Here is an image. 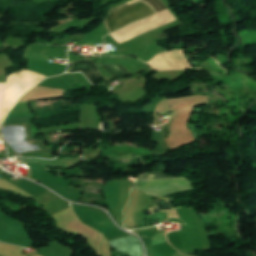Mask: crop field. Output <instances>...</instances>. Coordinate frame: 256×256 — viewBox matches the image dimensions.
<instances>
[{
	"instance_id": "8a807250",
	"label": "crop field",
	"mask_w": 256,
	"mask_h": 256,
	"mask_svg": "<svg viewBox=\"0 0 256 256\" xmlns=\"http://www.w3.org/2000/svg\"><path fill=\"white\" fill-rule=\"evenodd\" d=\"M46 77L28 71L26 69L8 75L3 106L0 117V124L13 104L30 88L38 84Z\"/></svg>"
},
{
	"instance_id": "ac0d7876",
	"label": "crop field",
	"mask_w": 256,
	"mask_h": 256,
	"mask_svg": "<svg viewBox=\"0 0 256 256\" xmlns=\"http://www.w3.org/2000/svg\"><path fill=\"white\" fill-rule=\"evenodd\" d=\"M154 14L152 7L140 0H133L129 3L109 10L105 18V24L109 33L129 24Z\"/></svg>"
},
{
	"instance_id": "34b2d1b8",
	"label": "crop field",
	"mask_w": 256,
	"mask_h": 256,
	"mask_svg": "<svg viewBox=\"0 0 256 256\" xmlns=\"http://www.w3.org/2000/svg\"><path fill=\"white\" fill-rule=\"evenodd\" d=\"M160 177H168V176L162 173H152L151 179L160 178ZM148 183H149V187H142V186H148ZM148 183L147 181L136 180L134 187H142L139 189L151 195H159V196L169 195V194L193 189L188 179L183 176L148 180Z\"/></svg>"
},
{
	"instance_id": "412701ff",
	"label": "crop field",
	"mask_w": 256,
	"mask_h": 256,
	"mask_svg": "<svg viewBox=\"0 0 256 256\" xmlns=\"http://www.w3.org/2000/svg\"><path fill=\"white\" fill-rule=\"evenodd\" d=\"M115 251L126 256H143V249L139 239L133 235L110 240Z\"/></svg>"
},
{
	"instance_id": "f4fd0767",
	"label": "crop field",
	"mask_w": 256,
	"mask_h": 256,
	"mask_svg": "<svg viewBox=\"0 0 256 256\" xmlns=\"http://www.w3.org/2000/svg\"><path fill=\"white\" fill-rule=\"evenodd\" d=\"M85 71L84 75L88 80L94 84L100 81V74L96 65L91 61H76L69 62V68L67 72Z\"/></svg>"
},
{
	"instance_id": "dd49c442",
	"label": "crop field",
	"mask_w": 256,
	"mask_h": 256,
	"mask_svg": "<svg viewBox=\"0 0 256 256\" xmlns=\"http://www.w3.org/2000/svg\"><path fill=\"white\" fill-rule=\"evenodd\" d=\"M99 66L104 68L106 71L111 73L116 78L131 75L130 72H128L125 68H123L119 65H99Z\"/></svg>"
},
{
	"instance_id": "e52e79f7",
	"label": "crop field",
	"mask_w": 256,
	"mask_h": 256,
	"mask_svg": "<svg viewBox=\"0 0 256 256\" xmlns=\"http://www.w3.org/2000/svg\"><path fill=\"white\" fill-rule=\"evenodd\" d=\"M149 3L155 10L156 14L167 9L160 0H143Z\"/></svg>"
}]
</instances>
